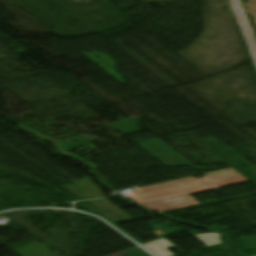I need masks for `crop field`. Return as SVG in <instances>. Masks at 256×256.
Here are the masks:
<instances>
[{"label": "crop field", "instance_id": "8a807250", "mask_svg": "<svg viewBox=\"0 0 256 256\" xmlns=\"http://www.w3.org/2000/svg\"><path fill=\"white\" fill-rule=\"evenodd\" d=\"M206 178L195 180L193 177L142 187L129 194L141 204L152 203L186 194L206 191L233 184L248 182L234 169L204 174Z\"/></svg>", "mask_w": 256, "mask_h": 256}, {"label": "crop field", "instance_id": "ac0d7876", "mask_svg": "<svg viewBox=\"0 0 256 256\" xmlns=\"http://www.w3.org/2000/svg\"><path fill=\"white\" fill-rule=\"evenodd\" d=\"M141 148L156 158L165 166H188L193 165L175 150L170 148L160 139H152L145 142L137 143Z\"/></svg>", "mask_w": 256, "mask_h": 256}, {"label": "crop field", "instance_id": "34b2d1b8", "mask_svg": "<svg viewBox=\"0 0 256 256\" xmlns=\"http://www.w3.org/2000/svg\"><path fill=\"white\" fill-rule=\"evenodd\" d=\"M186 198H190L191 200L182 201V203H185V204L179 205L180 200L186 199ZM188 201H191V202H188ZM198 204L199 203L196 202L192 197H190L189 195H186L178 198H173V199H169L161 202L144 205L143 207L148 208L155 212H164V211L179 209V208L198 205Z\"/></svg>", "mask_w": 256, "mask_h": 256}, {"label": "crop field", "instance_id": "412701ff", "mask_svg": "<svg viewBox=\"0 0 256 256\" xmlns=\"http://www.w3.org/2000/svg\"><path fill=\"white\" fill-rule=\"evenodd\" d=\"M220 235L211 233V234H201V235H193L192 237L199 240L204 245H212L216 243H221V241L218 239Z\"/></svg>", "mask_w": 256, "mask_h": 256}, {"label": "crop field", "instance_id": "f4fd0767", "mask_svg": "<svg viewBox=\"0 0 256 256\" xmlns=\"http://www.w3.org/2000/svg\"><path fill=\"white\" fill-rule=\"evenodd\" d=\"M108 256H151L140 247L136 246Z\"/></svg>", "mask_w": 256, "mask_h": 256}, {"label": "crop field", "instance_id": "dd49c442", "mask_svg": "<svg viewBox=\"0 0 256 256\" xmlns=\"http://www.w3.org/2000/svg\"><path fill=\"white\" fill-rule=\"evenodd\" d=\"M254 256H256V255H254Z\"/></svg>", "mask_w": 256, "mask_h": 256}]
</instances>
